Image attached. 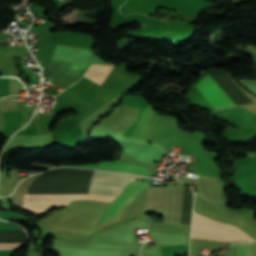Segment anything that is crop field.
Instances as JSON below:
<instances>
[{"label": "crop field", "instance_id": "obj_7", "mask_svg": "<svg viewBox=\"0 0 256 256\" xmlns=\"http://www.w3.org/2000/svg\"><path fill=\"white\" fill-rule=\"evenodd\" d=\"M237 256H251L252 255V242L242 243L235 245Z\"/></svg>", "mask_w": 256, "mask_h": 256}, {"label": "crop field", "instance_id": "obj_3", "mask_svg": "<svg viewBox=\"0 0 256 256\" xmlns=\"http://www.w3.org/2000/svg\"><path fill=\"white\" fill-rule=\"evenodd\" d=\"M149 183L132 181L128 183L121 191L119 196L110 202L105 214L101 218L100 222L108 221L119 215L123 207L134 200L135 195L145 189Z\"/></svg>", "mask_w": 256, "mask_h": 256}, {"label": "crop field", "instance_id": "obj_1", "mask_svg": "<svg viewBox=\"0 0 256 256\" xmlns=\"http://www.w3.org/2000/svg\"><path fill=\"white\" fill-rule=\"evenodd\" d=\"M191 237L220 241H253L239 228L194 213Z\"/></svg>", "mask_w": 256, "mask_h": 256}, {"label": "crop field", "instance_id": "obj_2", "mask_svg": "<svg viewBox=\"0 0 256 256\" xmlns=\"http://www.w3.org/2000/svg\"><path fill=\"white\" fill-rule=\"evenodd\" d=\"M139 177L127 174L92 171L88 193L117 196L127 182Z\"/></svg>", "mask_w": 256, "mask_h": 256}, {"label": "crop field", "instance_id": "obj_4", "mask_svg": "<svg viewBox=\"0 0 256 256\" xmlns=\"http://www.w3.org/2000/svg\"><path fill=\"white\" fill-rule=\"evenodd\" d=\"M195 87L208 99L214 108L235 105L209 74Z\"/></svg>", "mask_w": 256, "mask_h": 256}, {"label": "crop field", "instance_id": "obj_8", "mask_svg": "<svg viewBox=\"0 0 256 256\" xmlns=\"http://www.w3.org/2000/svg\"><path fill=\"white\" fill-rule=\"evenodd\" d=\"M20 244H0V248H11V247H17Z\"/></svg>", "mask_w": 256, "mask_h": 256}, {"label": "crop field", "instance_id": "obj_6", "mask_svg": "<svg viewBox=\"0 0 256 256\" xmlns=\"http://www.w3.org/2000/svg\"><path fill=\"white\" fill-rule=\"evenodd\" d=\"M112 66L113 65L92 64L84 74V77L100 84L107 76L108 72L112 69Z\"/></svg>", "mask_w": 256, "mask_h": 256}, {"label": "crop field", "instance_id": "obj_5", "mask_svg": "<svg viewBox=\"0 0 256 256\" xmlns=\"http://www.w3.org/2000/svg\"><path fill=\"white\" fill-rule=\"evenodd\" d=\"M62 166H75V167H82V168L127 172V173L140 174L144 176L150 175V171L142 167L134 166L124 162H120V161H115V162L101 161V162H98V165L82 164V165H62Z\"/></svg>", "mask_w": 256, "mask_h": 256}]
</instances>
